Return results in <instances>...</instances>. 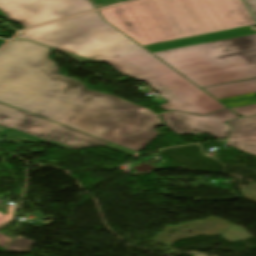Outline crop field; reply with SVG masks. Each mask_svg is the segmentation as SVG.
Wrapping results in <instances>:
<instances>
[{
	"mask_svg": "<svg viewBox=\"0 0 256 256\" xmlns=\"http://www.w3.org/2000/svg\"><path fill=\"white\" fill-rule=\"evenodd\" d=\"M0 125L36 137L64 149L105 145L130 155H140L112 143L66 128L29 113L0 104Z\"/></svg>",
	"mask_w": 256,
	"mask_h": 256,
	"instance_id": "f4fd0767",
	"label": "crop field"
},
{
	"mask_svg": "<svg viewBox=\"0 0 256 256\" xmlns=\"http://www.w3.org/2000/svg\"><path fill=\"white\" fill-rule=\"evenodd\" d=\"M2 202H4V201L0 200V203H2ZM15 208H16L15 206L10 205L7 216L0 213V227L7 221L12 220Z\"/></svg>",
	"mask_w": 256,
	"mask_h": 256,
	"instance_id": "d1516ede",
	"label": "crop field"
},
{
	"mask_svg": "<svg viewBox=\"0 0 256 256\" xmlns=\"http://www.w3.org/2000/svg\"><path fill=\"white\" fill-rule=\"evenodd\" d=\"M4 42H6V40L0 39V46H1Z\"/></svg>",
	"mask_w": 256,
	"mask_h": 256,
	"instance_id": "733c2abd",
	"label": "crop field"
},
{
	"mask_svg": "<svg viewBox=\"0 0 256 256\" xmlns=\"http://www.w3.org/2000/svg\"><path fill=\"white\" fill-rule=\"evenodd\" d=\"M11 240H12V238L0 234V246L6 248V246L8 245V243H9Z\"/></svg>",
	"mask_w": 256,
	"mask_h": 256,
	"instance_id": "cbeb9de0",
	"label": "crop field"
},
{
	"mask_svg": "<svg viewBox=\"0 0 256 256\" xmlns=\"http://www.w3.org/2000/svg\"><path fill=\"white\" fill-rule=\"evenodd\" d=\"M123 1H126V0H121V2H123Z\"/></svg>",
	"mask_w": 256,
	"mask_h": 256,
	"instance_id": "4a817a6b",
	"label": "crop field"
},
{
	"mask_svg": "<svg viewBox=\"0 0 256 256\" xmlns=\"http://www.w3.org/2000/svg\"><path fill=\"white\" fill-rule=\"evenodd\" d=\"M97 8L119 3L120 0H91Z\"/></svg>",
	"mask_w": 256,
	"mask_h": 256,
	"instance_id": "22f410ed",
	"label": "crop field"
},
{
	"mask_svg": "<svg viewBox=\"0 0 256 256\" xmlns=\"http://www.w3.org/2000/svg\"><path fill=\"white\" fill-rule=\"evenodd\" d=\"M90 10L89 0H0V17L24 28Z\"/></svg>",
	"mask_w": 256,
	"mask_h": 256,
	"instance_id": "dd49c442",
	"label": "crop field"
},
{
	"mask_svg": "<svg viewBox=\"0 0 256 256\" xmlns=\"http://www.w3.org/2000/svg\"><path fill=\"white\" fill-rule=\"evenodd\" d=\"M169 129L176 134L201 133L216 139L228 136L231 126L225 122L239 118L228 108L206 115L193 116L186 113L172 111L161 114Z\"/></svg>",
	"mask_w": 256,
	"mask_h": 256,
	"instance_id": "d8731c3e",
	"label": "crop field"
},
{
	"mask_svg": "<svg viewBox=\"0 0 256 256\" xmlns=\"http://www.w3.org/2000/svg\"><path fill=\"white\" fill-rule=\"evenodd\" d=\"M147 84L169 102L160 105L167 112L178 110L203 116L226 108L177 72Z\"/></svg>",
	"mask_w": 256,
	"mask_h": 256,
	"instance_id": "e52e79f7",
	"label": "crop field"
},
{
	"mask_svg": "<svg viewBox=\"0 0 256 256\" xmlns=\"http://www.w3.org/2000/svg\"><path fill=\"white\" fill-rule=\"evenodd\" d=\"M6 128L0 126V134L5 130Z\"/></svg>",
	"mask_w": 256,
	"mask_h": 256,
	"instance_id": "d9b57169",
	"label": "crop field"
},
{
	"mask_svg": "<svg viewBox=\"0 0 256 256\" xmlns=\"http://www.w3.org/2000/svg\"><path fill=\"white\" fill-rule=\"evenodd\" d=\"M49 50L19 40L0 50V101L136 151L159 135L157 114L59 74Z\"/></svg>",
	"mask_w": 256,
	"mask_h": 256,
	"instance_id": "8a807250",
	"label": "crop field"
},
{
	"mask_svg": "<svg viewBox=\"0 0 256 256\" xmlns=\"http://www.w3.org/2000/svg\"><path fill=\"white\" fill-rule=\"evenodd\" d=\"M232 125L226 144L256 155V116L228 122Z\"/></svg>",
	"mask_w": 256,
	"mask_h": 256,
	"instance_id": "3316defc",
	"label": "crop field"
},
{
	"mask_svg": "<svg viewBox=\"0 0 256 256\" xmlns=\"http://www.w3.org/2000/svg\"><path fill=\"white\" fill-rule=\"evenodd\" d=\"M100 13L141 46L256 24L242 0H136Z\"/></svg>",
	"mask_w": 256,
	"mask_h": 256,
	"instance_id": "ac0d7876",
	"label": "crop field"
},
{
	"mask_svg": "<svg viewBox=\"0 0 256 256\" xmlns=\"http://www.w3.org/2000/svg\"><path fill=\"white\" fill-rule=\"evenodd\" d=\"M155 55L200 88L256 77V35Z\"/></svg>",
	"mask_w": 256,
	"mask_h": 256,
	"instance_id": "412701ff",
	"label": "crop field"
},
{
	"mask_svg": "<svg viewBox=\"0 0 256 256\" xmlns=\"http://www.w3.org/2000/svg\"><path fill=\"white\" fill-rule=\"evenodd\" d=\"M15 38L56 48L80 64L107 63L143 82L175 72L105 23L97 11L29 29Z\"/></svg>",
	"mask_w": 256,
	"mask_h": 256,
	"instance_id": "34b2d1b8",
	"label": "crop field"
},
{
	"mask_svg": "<svg viewBox=\"0 0 256 256\" xmlns=\"http://www.w3.org/2000/svg\"><path fill=\"white\" fill-rule=\"evenodd\" d=\"M203 90L243 117L256 115V78L203 88Z\"/></svg>",
	"mask_w": 256,
	"mask_h": 256,
	"instance_id": "5a996713",
	"label": "crop field"
},
{
	"mask_svg": "<svg viewBox=\"0 0 256 256\" xmlns=\"http://www.w3.org/2000/svg\"><path fill=\"white\" fill-rule=\"evenodd\" d=\"M4 135H7L9 137L15 138V139L20 140V141L44 142V141L38 140L36 138H33V137H30V136L15 132L11 129H9L7 132H5Z\"/></svg>",
	"mask_w": 256,
	"mask_h": 256,
	"instance_id": "28ad6ade",
	"label": "crop field"
},
{
	"mask_svg": "<svg viewBox=\"0 0 256 256\" xmlns=\"http://www.w3.org/2000/svg\"><path fill=\"white\" fill-rule=\"evenodd\" d=\"M256 17V0H245Z\"/></svg>",
	"mask_w": 256,
	"mask_h": 256,
	"instance_id": "5142ce71",
	"label": "crop field"
}]
</instances>
